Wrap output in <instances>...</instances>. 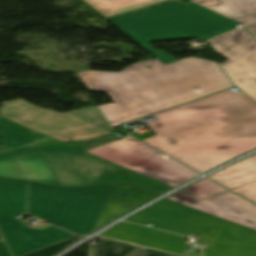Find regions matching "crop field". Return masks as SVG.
I'll list each match as a JSON object with an SVG mask.
<instances>
[{
  "label": "crop field",
  "mask_w": 256,
  "mask_h": 256,
  "mask_svg": "<svg viewBox=\"0 0 256 256\" xmlns=\"http://www.w3.org/2000/svg\"><path fill=\"white\" fill-rule=\"evenodd\" d=\"M142 140L203 173L256 148V103L229 90L156 115Z\"/></svg>",
  "instance_id": "obj_1"
},
{
  "label": "crop field",
  "mask_w": 256,
  "mask_h": 256,
  "mask_svg": "<svg viewBox=\"0 0 256 256\" xmlns=\"http://www.w3.org/2000/svg\"><path fill=\"white\" fill-rule=\"evenodd\" d=\"M78 75L89 90L107 92L115 102L99 106L112 127L232 87L218 63L192 57L167 65L155 59L120 73Z\"/></svg>",
  "instance_id": "obj_2"
},
{
  "label": "crop field",
  "mask_w": 256,
  "mask_h": 256,
  "mask_svg": "<svg viewBox=\"0 0 256 256\" xmlns=\"http://www.w3.org/2000/svg\"><path fill=\"white\" fill-rule=\"evenodd\" d=\"M165 64L177 61L154 49L149 42L199 37L206 41L230 31L238 24L193 2L170 0L108 18Z\"/></svg>",
  "instance_id": "obj_3"
},
{
  "label": "crop field",
  "mask_w": 256,
  "mask_h": 256,
  "mask_svg": "<svg viewBox=\"0 0 256 256\" xmlns=\"http://www.w3.org/2000/svg\"><path fill=\"white\" fill-rule=\"evenodd\" d=\"M32 133L62 187L126 183L157 195L173 188L85 152L81 141L70 146L40 133Z\"/></svg>",
  "instance_id": "obj_4"
},
{
  "label": "crop field",
  "mask_w": 256,
  "mask_h": 256,
  "mask_svg": "<svg viewBox=\"0 0 256 256\" xmlns=\"http://www.w3.org/2000/svg\"><path fill=\"white\" fill-rule=\"evenodd\" d=\"M114 185L61 189L30 183L28 213L68 231H94Z\"/></svg>",
  "instance_id": "obj_5"
},
{
  "label": "crop field",
  "mask_w": 256,
  "mask_h": 256,
  "mask_svg": "<svg viewBox=\"0 0 256 256\" xmlns=\"http://www.w3.org/2000/svg\"><path fill=\"white\" fill-rule=\"evenodd\" d=\"M1 116L63 142L82 140L85 151L119 139L97 108L57 114L20 100L3 102Z\"/></svg>",
  "instance_id": "obj_6"
},
{
  "label": "crop field",
  "mask_w": 256,
  "mask_h": 256,
  "mask_svg": "<svg viewBox=\"0 0 256 256\" xmlns=\"http://www.w3.org/2000/svg\"><path fill=\"white\" fill-rule=\"evenodd\" d=\"M27 188L28 183L0 179V230L14 256L74 236L53 226L37 230L15 219L25 212Z\"/></svg>",
  "instance_id": "obj_7"
},
{
  "label": "crop field",
  "mask_w": 256,
  "mask_h": 256,
  "mask_svg": "<svg viewBox=\"0 0 256 256\" xmlns=\"http://www.w3.org/2000/svg\"><path fill=\"white\" fill-rule=\"evenodd\" d=\"M88 152L173 187L199 175L130 136Z\"/></svg>",
  "instance_id": "obj_8"
},
{
  "label": "crop field",
  "mask_w": 256,
  "mask_h": 256,
  "mask_svg": "<svg viewBox=\"0 0 256 256\" xmlns=\"http://www.w3.org/2000/svg\"><path fill=\"white\" fill-rule=\"evenodd\" d=\"M128 221L162 230L189 236L191 233L202 235L198 241H213L227 224L222 220L210 217L186 207L163 200L142 212L130 217Z\"/></svg>",
  "instance_id": "obj_9"
},
{
  "label": "crop field",
  "mask_w": 256,
  "mask_h": 256,
  "mask_svg": "<svg viewBox=\"0 0 256 256\" xmlns=\"http://www.w3.org/2000/svg\"><path fill=\"white\" fill-rule=\"evenodd\" d=\"M247 32L242 27L208 43L229 58L220 67L237 88L256 102V39Z\"/></svg>",
  "instance_id": "obj_10"
},
{
  "label": "crop field",
  "mask_w": 256,
  "mask_h": 256,
  "mask_svg": "<svg viewBox=\"0 0 256 256\" xmlns=\"http://www.w3.org/2000/svg\"><path fill=\"white\" fill-rule=\"evenodd\" d=\"M0 132L5 146L11 142L30 181L59 186L30 129L0 117Z\"/></svg>",
  "instance_id": "obj_11"
},
{
  "label": "crop field",
  "mask_w": 256,
  "mask_h": 256,
  "mask_svg": "<svg viewBox=\"0 0 256 256\" xmlns=\"http://www.w3.org/2000/svg\"><path fill=\"white\" fill-rule=\"evenodd\" d=\"M167 199L256 230V205L230 191L204 200L180 191Z\"/></svg>",
  "instance_id": "obj_12"
},
{
  "label": "crop field",
  "mask_w": 256,
  "mask_h": 256,
  "mask_svg": "<svg viewBox=\"0 0 256 256\" xmlns=\"http://www.w3.org/2000/svg\"><path fill=\"white\" fill-rule=\"evenodd\" d=\"M204 256H256V232L228 223Z\"/></svg>",
  "instance_id": "obj_13"
},
{
  "label": "crop field",
  "mask_w": 256,
  "mask_h": 256,
  "mask_svg": "<svg viewBox=\"0 0 256 256\" xmlns=\"http://www.w3.org/2000/svg\"><path fill=\"white\" fill-rule=\"evenodd\" d=\"M154 197L156 196L133 189L125 185H117L99 219L95 230L112 221L111 219H107L108 217L118 218L119 216L130 211L136 206Z\"/></svg>",
  "instance_id": "obj_14"
},
{
  "label": "crop field",
  "mask_w": 256,
  "mask_h": 256,
  "mask_svg": "<svg viewBox=\"0 0 256 256\" xmlns=\"http://www.w3.org/2000/svg\"><path fill=\"white\" fill-rule=\"evenodd\" d=\"M209 177L230 189L255 182L256 154Z\"/></svg>",
  "instance_id": "obj_15"
},
{
  "label": "crop field",
  "mask_w": 256,
  "mask_h": 256,
  "mask_svg": "<svg viewBox=\"0 0 256 256\" xmlns=\"http://www.w3.org/2000/svg\"><path fill=\"white\" fill-rule=\"evenodd\" d=\"M106 18L167 0H84Z\"/></svg>",
  "instance_id": "obj_16"
},
{
  "label": "crop field",
  "mask_w": 256,
  "mask_h": 256,
  "mask_svg": "<svg viewBox=\"0 0 256 256\" xmlns=\"http://www.w3.org/2000/svg\"><path fill=\"white\" fill-rule=\"evenodd\" d=\"M231 20L256 13V0H218V5L206 6L203 0H190Z\"/></svg>",
  "instance_id": "obj_17"
},
{
  "label": "crop field",
  "mask_w": 256,
  "mask_h": 256,
  "mask_svg": "<svg viewBox=\"0 0 256 256\" xmlns=\"http://www.w3.org/2000/svg\"><path fill=\"white\" fill-rule=\"evenodd\" d=\"M0 177L27 181L11 147L0 148Z\"/></svg>",
  "instance_id": "obj_18"
},
{
  "label": "crop field",
  "mask_w": 256,
  "mask_h": 256,
  "mask_svg": "<svg viewBox=\"0 0 256 256\" xmlns=\"http://www.w3.org/2000/svg\"><path fill=\"white\" fill-rule=\"evenodd\" d=\"M101 241L92 248L91 256H125L135 246L100 238Z\"/></svg>",
  "instance_id": "obj_19"
},
{
  "label": "crop field",
  "mask_w": 256,
  "mask_h": 256,
  "mask_svg": "<svg viewBox=\"0 0 256 256\" xmlns=\"http://www.w3.org/2000/svg\"><path fill=\"white\" fill-rule=\"evenodd\" d=\"M182 191L204 199L227 190L205 178Z\"/></svg>",
  "instance_id": "obj_20"
},
{
  "label": "crop field",
  "mask_w": 256,
  "mask_h": 256,
  "mask_svg": "<svg viewBox=\"0 0 256 256\" xmlns=\"http://www.w3.org/2000/svg\"><path fill=\"white\" fill-rule=\"evenodd\" d=\"M82 238L83 237L74 236L60 243L25 254L23 256H54Z\"/></svg>",
  "instance_id": "obj_21"
},
{
  "label": "crop field",
  "mask_w": 256,
  "mask_h": 256,
  "mask_svg": "<svg viewBox=\"0 0 256 256\" xmlns=\"http://www.w3.org/2000/svg\"><path fill=\"white\" fill-rule=\"evenodd\" d=\"M127 256H176V255L136 246Z\"/></svg>",
  "instance_id": "obj_22"
},
{
  "label": "crop field",
  "mask_w": 256,
  "mask_h": 256,
  "mask_svg": "<svg viewBox=\"0 0 256 256\" xmlns=\"http://www.w3.org/2000/svg\"><path fill=\"white\" fill-rule=\"evenodd\" d=\"M234 191L256 203V183Z\"/></svg>",
  "instance_id": "obj_23"
},
{
  "label": "crop field",
  "mask_w": 256,
  "mask_h": 256,
  "mask_svg": "<svg viewBox=\"0 0 256 256\" xmlns=\"http://www.w3.org/2000/svg\"><path fill=\"white\" fill-rule=\"evenodd\" d=\"M242 25L256 21V14L234 20Z\"/></svg>",
  "instance_id": "obj_24"
},
{
  "label": "crop field",
  "mask_w": 256,
  "mask_h": 256,
  "mask_svg": "<svg viewBox=\"0 0 256 256\" xmlns=\"http://www.w3.org/2000/svg\"><path fill=\"white\" fill-rule=\"evenodd\" d=\"M0 256H11L4 242H0Z\"/></svg>",
  "instance_id": "obj_25"
},
{
  "label": "crop field",
  "mask_w": 256,
  "mask_h": 256,
  "mask_svg": "<svg viewBox=\"0 0 256 256\" xmlns=\"http://www.w3.org/2000/svg\"><path fill=\"white\" fill-rule=\"evenodd\" d=\"M246 28H247L248 31H249L250 33H252L253 35L256 34V23H253V24H251V25H248V26H246Z\"/></svg>",
  "instance_id": "obj_26"
},
{
  "label": "crop field",
  "mask_w": 256,
  "mask_h": 256,
  "mask_svg": "<svg viewBox=\"0 0 256 256\" xmlns=\"http://www.w3.org/2000/svg\"><path fill=\"white\" fill-rule=\"evenodd\" d=\"M0 241H3V239H2V237H1V235H0Z\"/></svg>",
  "instance_id": "obj_27"
}]
</instances>
